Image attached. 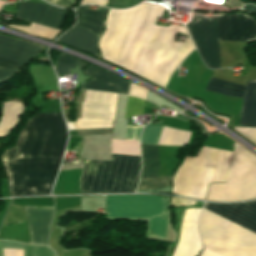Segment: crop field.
Segmentation results:
<instances>
[{
    "mask_svg": "<svg viewBox=\"0 0 256 256\" xmlns=\"http://www.w3.org/2000/svg\"><path fill=\"white\" fill-rule=\"evenodd\" d=\"M161 7L142 4L129 10L110 9L98 45L105 59L164 87L194 45L190 38L175 42L177 32L189 36L185 27L154 25Z\"/></svg>",
    "mask_w": 256,
    "mask_h": 256,
    "instance_id": "1",
    "label": "crop field"
},
{
    "mask_svg": "<svg viewBox=\"0 0 256 256\" xmlns=\"http://www.w3.org/2000/svg\"><path fill=\"white\" fill-rule=\"evenodd\" d=\"M45 114H37L18 134L1 161L10 196L31 193ZM66 126L61 113L46 114L31 195H50L66 145Z\"/></svg>",
    "mask_w": 256,
    "mask_h": 256,
    "instance_id": "2",
    "label": "crop field"
},
{
    "mask_svg": "<svg viewBox=\"0 0 256 256\" xmlns=\"http://www.w3.org/2000/svg\"><path fill=\"white\" fill-rule=\"evenodd\" d=\"M204 209L256 233V202L208 204ZM202 210L199 231L203 245L222 256H256V234L206 210ZM200 256H220L208 249Z\"/></svg>",
    "mask_w": 256,
    "mask_h": 256,
    "instance_id": "3",
    "label": "crop field"
},
{
    "mask_svg": "<svg viewBox=\"0 0 256 256\" xmlns=\"http://www.w3.org/2000/svg\"><path fill=\"white\" fill-rule=\"evenodd\" d=\"M207 67L220 68L218 40H256V20L245 15L197 18L187 26Z\"/></svg>",
    "mask_w": 256,
    "mask_h": 256,
    "instance_id": "4",
    "label": "crop field"
},
{
    "mask_svg": "<svg viewBox=\"0 0 256 256\" xmlns=\"http://www.w3.org/2000/svg\"><path fill=\"white\" fill-rule=\"evenodd\" d=\"M231 153L202 147L197 157H186L173 177L172 193L204 200L209 183L225 181Z\"/></svg>",
    "mask_w": 256,
    "mask_h": 256,
    "instance_id": "5",
    "label": "crop field"
},
{
    "mask_svg": "<svg viewBox=\"0 0 256 256\" xmlns=\"http://www.w3.org/2000/svg\"><path fill=\"white\" fill-rule=\"evenodd\" d=\"M140 156L112 154V161H88L81 180V193L135 192Z\"/></svg>",
    "mask_w": 256,
    "mask_h": 256,
    "instance_id": "6",
    "label": "crop field"
},
{
    "mask_svg": "<svg viewBox=\"0 0 256 256\" xmlns=\"http://www.w3.org/2000/svg\"><path fill=\"white\" fill-rule=\"evenodd\" d=\"M226 184H211L209 201H239L256 198V157L234 143Z\"/></svg>",
    "mask_w": 256,
    "mask_h": 256,
    "instance_id": "7",
    "label": "crop field"
},
{
    "mask_svg": "<svg viewBox=\"0 0 256 256\" xmlns=\"http://www.w3.org/2000/svg\"><path fill=\"white\" fill-rule=\"evenodd\" d=\"M167 197L147 195L106 196V218H150L149 236L166 238Z\"/></svg>",
    "mask_w": 256,
    "mask_h": 256,
    "instance_id": "8",
    "label": "crop field"
},
{
    "mask_svg": "<svg viewBox=\"0 0 256 256\" xmlns=\"http://www.w3.org/2000/svg\"><path fill=\"white\" fill-rule=\"evenodd\" d=\"M117 94L85 91L81 119L67 122L70 130L112 128Z\"/></svg>",
    "mask_w": 256,
    "mask_h": 256,
    "instance_id": "9",
    "label": "crop field"
},
{
    "mask_svg": "<svg viewBox=\"0 0 256 256\" xmlns=\"http://www.w3.org/2000/svg\"><path fill=\"white\" fill-rule=\"evenodd\" d=\"M205 91L243 98L239 126L256 127V80L243 86L211 78Z\"/></svg>",
    "mask_w": 256,
    "mask_h": 256,
    "instance_id": "10",
    "label": "crop field"
},
{
    "mask_svg": "<svg viewBox=\"0 0 256 256\" xmlns=\"http://www.w3.org/2000/svg\"><path fill=\"white\" fill-rule=\"evenodd\" d=\"M41 49L36 44L0 36V81L13 75Z\"/></svg>",
    "mask_w": 256,
    "mask_h": 256,
    "instance_id": "11",
    "label": "crop field"
},
{
    "mask_svg": "<svg viewBox=\"0 0 256 256\" xmlns=\"http://www.w3.org/2000/svg\"><path fill=\"white\" fill-rule=\"evenodd\" d=\"M57 63L79 65L78 67H76L79 70H82L87 65L63 53H60ZM83 73L89 75L93 79L89 80L82 87L81 90L91 89V90H99V91H107V92H118L126 95L128 93L130 83L110 73L99 70L90 65L85 71H83Z\"/></svg>",
    "mask_w": 256,
    "mask_h": 256,
    "instance_id": "12",
    "label": "crop field"
},
{
    "mask_svg": "<svg viewBox=\"0 0 256 256\" xmlns=\"http://www.w3.org/2000/svg\"><path fill=\"white\" fill-rule=\"evenodd\" d=\"M66 13V9L51 5L23 2L19 4L14 18L60 30Z\"/></svg>",
    "mask_w": 256,
    "mask_h": 256,
    "instance_id": "13",
    "label": "crop field"
},
{
    "mask_svg": "<svg viewBox=\"0 0 256 256\" xmlns=\"http://www.w3.org/2000/svg\"><path fill=\"white\" fill-rule=\"evenodd\" d=\"M201 209L185 211L178 243L172 256H196L201 250L197 221Z\"/></svg>",
    "mask_w": 256,
    "mask_h": 256,
    "instance_id": "14",
    "label": "crop field"
},
{
    "mask_svg": "<svg viewBox=\"0 0 256 256\" xmlns=\"http://www.w3.org/2000/svg\"><path fill=\"white\" fill-rule=\"evenodd\" d=\"M143 168L140 177H157L158 155L157 146L141 144ZM171 177L140 178L137 190H155L170 185Z\"/></svg>",
    "mask_w": 256,
    "mask_h": 256,
    "instance_id": "15",
    "label": "crop field"
},
{
    "mask_svg": "<svg viewBox=\"0 0 256 256\" xmlns=\"http://www.w3.org/2000/svg\"><path fill=\"white\" fill-rule=\"evenodd\" d=\"M29 223L31 244L47 246L53 207L23 206Z\"/></svg>",
    "mask_w": 256,
    "mask_h": 256,
    "instance_id": "16",
    "label": "crop field"
},
{
    "mask_svg": "<svg viewBox=\"0 0 256 256\" xmlns=\"http://www.w3.org/2000/svg\"><path fill=\"white\" fill-rule=\"evenodd\" d=\"M98 40L99 38L91 32L82 28L74 27L57 41L100 57L97 47Z\"/></svg>",
    "mask_w": 256,
    "mask_h": 256,
    "instance_id": "17",
    "label": "crop field"
},
{
    "mask_svg": "<svg viewBox=\"0 0 256 256\" xmlns=\"http://www.w3.org/2000/svg\"><path fill=\"white\" fill-rule=\"evenodd\" d=\"M88 6H81L76 9L77 24L75 26L83 27L96 36L103 35L104 18L108 9L99 7L97 12L87 10Z\"/></svg>",
    "mask_w": 256,
    "mask_h": 256,
    "instance_id": "18",
    "label": "crop field"
},
{
    "mask_svg": "<svg viewBox=\"0 0 256 256\" xmlns=\"http://www.w3.org/2000/svg\"><path fill=\"white\" fill-rule=\"evenodd\" d=\"M141 126H127L125 140L139 141ZM112 139V153L140 155L139 142Z\"/></svg>",
    "mask_w": 256,
    "mask_h": 256,
    "instance_id": "19",
    "label": "crop field"
},
{
    "mask_svg": "<svg viewBox=\"0 0 256 256\" xmlns=\"http://www.w3.org/2000/svg\"><path fill=\"white\" fill-rule=\"evenodd\" d=\"M22 107L23 104L20 103H5L2 118L0 117V137L4 136L11 130L21 113Z\"/></svg>",
    "mask_w": 256,
    "mask_h": 256,
    "instance_id": "20",
    "label": "crop field"
},
{
    "mask_svg": "<svg viewBox=\"0 0 256 256\" xmlns=\"http://www.w3.org/2000/svg\"><path fill=\"white\" fill-rule=\"evenodd\" d=\"M5 239L23 241L30 244L27 221L22 220L3 225Z\"/></svg>",
    "mask_w": 256,
    "mask_h": 256,
    "instance_id": "21",
    "label": "crop field"
},
{
    "mask_svg": "<svg viewBox=\"0 0 256 256\" xmlns=\"http://www.w3.org/2000/svg\"><path fill=\"white\" fill-rule=\"evenodd\" d=\"M145 101L138 98L130 97L128 98L126 106V117L142 114Z\"/></svg>",
    "mask_w": 256,
    "mask_h": 256,
    "instance_id": "22",
    "label": "crop field"
},
{
    "mask_svg": "<svg viewBox=\"0 0 256 256\" xmlns=\"http://www.w3.org/2000/svg\"><path fill=\"white\" fill-rule=\"evenodd\" d=\"M24 256H55L52 249L24 244Z\"/></svg>",
    "mask_w": 256,
    "mask_h": 256,
    "instance_id": "23",
    "label": "crop field"
},
{
    "mask_svg": "<svg viewBox=\"0 0 256 256\" xmlns=\"http://www.w3.org/2000/svg\"><path fill=\"white\" fill-rule=\"evenodd\" d=\"M234 130L256 144V128H240L234 126Z\"/></svg>",
    "mask_w": 256,
    "mask_h": 256,
    "instance_id": "24",
    "label": "crop field"
},
{
    "mask_svg": "<svg viewBox=\"0 0 256 256\" xmlns=\"http://www.w3.org/2000/svg\"><path fill=\"white\" fill-rule=\"evenodd\" d=\"M162 127L152 126L147 143L156 144Z\"/></svg>",
    "mask_w": 256,
    "mask_h": 256,
    "instance_id": "25",
    "label": "crop field"
},
{
    "mask_svg": "<svg viewBox=\"0 0 256 256\" xmlns=\"http://www.w3.org/2000/svg\"><path fill=\"white\" fill-rule=\"evenodd\" d=\"M75 67L76 66H73V65L57 64L55 71H56L57 75H63V74H68Z\"/></svg>",
    "mask_w": 256,
    "mask_h": 256,
    "instance_id": "26",
    "label": "crop field"
},
{
    "mask_svg": "<svg viewBox=\"0 0 256 256\" xmlns=\"http://www.w3.org/2000/svg\"><path fill=\"white\" fill-rule=\"evenodd\" d=\"M195 204L194 201L182 200L177 198H171L170 206H189Z\"/></svg>",
    "mask_w": 256,
    "mask_h": 256,
    "instance_id": "27",
    "label": "crop field"
},
{
    "mask_svg": "<svg viewBox=\"0 0 256 256\" xmlns=\"http://www.w3.org/2000/svg\"><path fill=\"white\" fill-rule=\"evenodd\" d=\"M81 4H93V5H101L108 7V1L107 0H82Z\"/></svg>",
    "mask_w": 256,
    "mask_h": 256,
    "instance_id": "28",
    "label": "crop field"
},
{
    "mask_svg": "<svg viewBox=\"0 0 256 256\" xmlns=\"http://www.w3.org/2000/svg\"><path fill=\"white\" fill-rule=\"evenodd\" d=\"M46 1L49 3L59 5V6H64V7H68L72 5V2H73V0H46Z\"/></svg>",
    "mask_w": 256,
    "mask_h": 256,
    "instance_id": "29",
    "label": "crop field"
}]
</instances>
